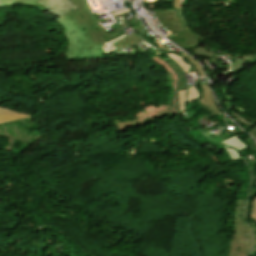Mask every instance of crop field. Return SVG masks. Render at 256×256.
Masks as SVG:
<instances>
[{"instance_id":"obj_1","label":"crop field","mask_w":256,"mask_h":256,"mask_svg":"<svg viewBox=\"0 0 256 256\" xmlns=\"http://www.w3.org/2000/svg\"><path fill=\"white\" fill-rule=\"evenodd\" d=\"M73 1L79 10L55 19L66 35L65 58L66 60L100 58L104 53L89 27L93 23L82 11L77 0Z\"/></svg>"},{"instance_id":"obj_2","label":"crop field","mask_w":256,"mask_h":256,"mask_svg":"<svg viewBox=\"0 0 256 256\" xmlns=\"http://www.w3.org/2000/svg\"><path fill=\"white\" fill-rule=\"evenodd\" d=\"M234 226L236 240H229V256H249L252 249V236L245 220L246 201H237ZM238 254V255H236Z\"/></svg>"},{"instance_id":"obj_3","label":"crop field","mask_w":256,"mask_h":256,"mask_svg":"<svg viewBox=\"0 0 256 256\" xmlns=\"http://www.w3.org/2000/svg\"><path fill=\"white\" fill-rule=\"evenodd\" d=\"M175 11H176L182 25L184 26V28L186 30H184L180 33H177L175 35H172L168 38L185 50L198 46L201 41L206 42L205 39L199 37L198 35H196L194 32H192L190 30V28L186 22V19L184 17V14L182 12V9H175Z\"/></svg>"},{"instance_id":"obj_4","label":"crop field","mask_w":256,"mask_h":256,"mask_svg":"<svg viewBox=\"0 0 256 256\" xmlns=\"http://www.w3.org/2000/svg\"><path fill=\"white\" fill-rule=\"evenodd\" d=\"M33 7L42 10H48L58 17L72 11L78 10L72 0H40Z\"/></svg>"},{"instance_id":"obj_5","label":"crop field","mask_w":256,"mask_h":256,"mask_svg":"<svg viewBox=\"0 0 256 256\" xmlns=\"http://www.w3.org/2000/svg\"><path fill=\"white\" fill-rule=\"evenodd\" d=\"M154 12L161 26H165L173 34L184 30L174 10H158Z\"/></svg>"},{"instance_id":"obj_6","label":"crop field","mask_w":256,"mask_h":256,"mask_svg":"<svg viewBox=\"0 0 256 256\" xmlns=\"http://www.w3.org/2000/svg\"><path fill=\"white\" fill-rule=\"evenodd\" d=\"M201 88L203 91V96L200 100L196 101V103L208 108L212 112L214 117L218 115H222L223 113L217 108L214 102V98L211 94L209 86L208 85L201 86Z\"/></svg>"},{"instance_id":"obj_7","label":"crop field","mask_w":256,"mask_h":256,"mask_svg":"<svg viewBox=\"0 0 256 256\" xmlns=\"http://www.w3.org/2000/svg\"><path fill=\"white\" fill-rule=\"evenodd\" d=\"M78 2L80 3L83 11L86 13V15L90 18V20L96 25L97 29L100 31V33L103 35V37L106 39V41L115 38L121 34H123V30H117L115 32H112L110 34L107 33V31L104 29V27H101L100 24L98 23V21L95 19V17L91 14V12L88 9V5L86 0H78Z\"/></svg>"},{"instance_id":"obj_8","label":"crop field","mask_w":256,"mask_h":256,"mask_svg":"<svg viewBox=\"0 0 256 256\" xmlns=\"http://www.w3.org/2000/svg\"><path fill=\"white\" fill-rule=\"evenodd\" d=\"M91 29L94 32V34L96 35L97 39L99 40L105 54L115 51L117 48L114 47L112 44L117 42L118 40L122 39L123 37L127 36L126 34H124L118 38H115V39H112V40L106 42L94 25L91 26Z\"/></svg>"},{"instance_id":"obj_9","label":"crop field","mask_w":256,"mask_h":256,"mask_svg":"<svg viewBox=\"0 0 256 256\" xmlns=\"http://www.w3.org/2000/svg\"><path fill=\"white\" fill-rule=\"evenodd\" d=\"M29 116L30 115L17 113V112H13V111H10V110L0 108V123L5 122V121L15 120V119H18V118L29 117Z\"/></svg>"},{"instance_id":"obj_10","label":"crop field","mask_w":256,"mask_h":256,"mask_svg":"<svg viewBox=\"0 0 256 256\" xmlns=\"http://www.w3.org/2000/svg\"><path fill=\"white\" fill-rule=\"evenodd\" d=\"M141 41L142 40L137 35L132 33L113 45L116 46L117 48H122V47H128V46L141 43Z\"/></svg>"},{"instance_id":"obj_11","label":"crop field","mask_w":256,"mask_h":256,"mask_svg":"<svg viewBox=\"0 0 256 256\" xmlns=\"http://www.w3.org/2000/svg\"><path fill=\"white\" fill-rule=\"evenodd\" d=\"M3 7L11 5H25L32 7L39 0H0Z\"/></svg>"},{"instance_id":"obj_12","label":"crop field","mask_w":256,"mask_h":256,"mask_svg":"<svg viewBox=\"0 0 256 256\" xmlns=\"http://www.w3.org/2000/svg\"><path fill=\"white\" fill-rule=\"evenodd\" d=\"M163 60H165L167 63H169L175 70V72L178 76V79H179L178 90L186 89V84H185V80H184L183 74L181 72V69L178 66H176L168 57L164 58Z\"/></svg>"},{"instance_id":"obj_13","label":"crop field","mask_w":256,"mask_h":256,"mask_svg":"<svg viewBox=\"0 0 256 256\" xmlns=\"http://www.w3.org/2000/svg\"><path fill=\"white\" fill-rule=\"evenodd\" d=\"M221 143H224V144H227V145H229L231 147H234L238 151H241V150H244V149L247 148V146L245 144H243L241 142V140L239 139V137H237V136H233V137H231V138H229V139H227V140H225V141H223Z\"/></svg>"},{"instance_id":"obj_14","label":"crop field","mask_w":256,"mask_h":256,"mask_svg":"<svg viewBox=\"0 0 256 256\" xmlns=\"http://www.w3.org/2000/svg\"><path fill=\"white\" fill-rule=\"evenodd\" d=\"M199 96L198 91L196 90L195 86H188V95H187V104L191 103L192 100H195Z\"/></svg>"},{"instance_id":"obj_15","label":"crop field","mask_w":256,"mask_h":256,"mask_svg":"<svg viewBox=\"0 0 256 256\" xmlns=\"http://www.w3.org/2000/svg\"><path fill=\"white\" fill-rule=\"evenodd\" d=\"M185 96H186V90L178 92V100H179L178 114L184 113Z\"/></svg>"},{"instance_id":"obj_16","label":"crop field","mask_w":256,"mask_h":256,"mask_svg":"<svg viewBox=\"0 0 256 256\" xmlns=\"http://www.w3.org/2000/svg\"><path fill=\"white\" fill-rule=\"evenodd\" d=\"M166 54H167V53H166ZM168 55H169L171 58H173V59L183 68L184 72L190 71L189 67H191V66L187 65V64L182 60V58H180V57H178V56H176V55H172V54H168Z\"/></svg>"},{"instance_id":"obj_17","label":"crop field","mask_w":256,"mask_h":256,"mask_svg":"<svg viewBox=\"0 0 256 256\" xmlns=\"http://www.w3.org/2000/svg\"><path fill=\"white\" fill-rule=\"evenodd\" d=\"M225 150L227 151V153L231 157L232 161L240 160L242 158L241 155L238 152H236V151H234L230 148H225Z\"/></svg>"},{"instance_id":"obj_18","label":"crop field","mask_w":256,"mask_h":256,"mask_svg":"<svg viewBox=\"0 0 256 256\" xmlns=\"http://www.w3.org/2000/svg\"><path fill=\"white\" fill-rule=\"evenodd\" d=\"M244 140L247 142L246 145L248 148H250L252 152H256V143L251 138H246Z\"/></svg>"},{"instance_id":"obj_19","label":"crop field","mask_w":256,"mask_h":256,"mask_svg":"<svg viewBox=\"0 0 256 256\" xmlns=\"http://www.w3.org/2000/svg\"><path fill=\"white\" fill-rule=\"evenodd\" d=\"M251 218H253L256 221V198H254V201L252 203Z\"/></svg>"},{"instance_id":"obj_20","label":"crop field","mask_w":256,"mask_h":256,"mask_svg":"<svg viewBox=\"0 0 256 256\" xmlns=\"http://www.w3.org/2000/svg\"><path fill=\"white\" fill-rule=\"evenodd\" d=\"M127 12H131L129 8L122 10V11H117V12H113L112 15L113 17L119 14H123V13H127ZM115 18V17H114ZM116 20V19H115Z\"/></svg>"},{"instance_id":"obj_21","label":"crop field","mask_w":256,"mask_h":256,"mask_svg":"<svg viewBox=\"0 0 256 256\" xmlns=\"http://www.w3.org/2000/svg\"><path fill=\"white\" fill-rule=\"evenodd\" d=\"M174 8H181V0H174Z\"/></svg>"},{"instance_id":"obj_22","label":"crop field","mask_w":256,"mask_h":256,"mask_svg":"<svg viewBox=\"0 0 256 256\" xmlns=\"http://www.w3.org/2000/svg\"><path fill=\"white\" fill-rule=\"evenodd\" d=\"M248 133L251 134L256 139V127L250 130Z\"/></svg>"}]
</instances>
